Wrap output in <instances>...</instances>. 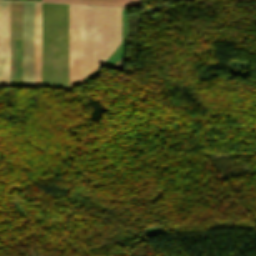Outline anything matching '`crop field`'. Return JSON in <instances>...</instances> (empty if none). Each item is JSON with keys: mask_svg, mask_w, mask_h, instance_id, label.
<instances>
[{"mask_svg": "<svg viewBox=\"0 0 256 256\" xmlns=\"http://www.w3.org/2000/svg\"><path fill=\"white\" fill-rule=\"evenodd\" d=\"M121 8L85 5L84 76L120 43Z\"/></svg>", "mask_w": 256, "mask_h": 256, "instance_id": "obj_1", "label": "crop field"}, {"mask_svg": "<svg viewBox=\"0 0 256 256\" xmlns=\"http://www.w3.org/2000/svg\"><path fill=\"white\" fill-rule=\"evenodd\" d=\"M84 5L70 4L69 87L83 82Z\"/></svg>", "mask_w": 256, "mask_h": 256, "instance_id": "obj_2", "label": "crop field"}, {"mask_svg": "<svg viewBox=\"0 0 256 256\" xmlns=\"http://www.w3.org/2000/svg\"><path fill=\"white\" fill-rule=\"evenodd\" d=\"M34 3L23 2L22 87H33Z\"/></svg>", "mask_w": 256, "mask_h": 256, "instance_id": "obj_3", "label": "crop field"}, {"mask_svg": "<svg viewBox=\"0 0 256 256\" xmlns=\"http://www.w3.org/2000/svg\"><path fill=\"white\" fill-rule=\"evenodd\" d=\"M10 2L0 1V87H9Z\"/></svg>", "mask_w": 256, "mask_h": 256, "instance_id": "obj_4", "label": "crop field"}, {"mask_svg": "<svg viewBox=\"0 0 256 256\" xmlns=\"http://www.w3.org/2000/svg\"><path fill=\"white\" fill-rule=\"evenodd\" d=\"M41 3H35L34 87H40Z\"/></svg>", "mask_w": 256, "mask_h": 256, "instance_id": "obj_5", "label": "crop field"}, {"mask_svg": "<svg viewBox=\"0 0 256 256\" xmlns=\"http://www.w3.org/2000/svg\"><path fill=\"white\" fill-rule=\"evenodd\" d=\"M42 1L118 5V6H142L141 0H42Z\"/></svg>", "mask_w": 256, "mask_h": 256, "instance_id": "obj_6", "label": "crop field"}]
</instances>
